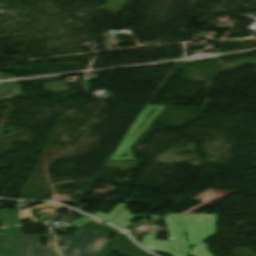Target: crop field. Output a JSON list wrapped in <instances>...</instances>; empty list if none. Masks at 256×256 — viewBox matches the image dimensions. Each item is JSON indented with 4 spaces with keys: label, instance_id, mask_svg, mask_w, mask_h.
I'll return each mask as SVG.
<instances>
[{
    "label": "crop field",
    "instance_id": "1",
    "mask_svg": "<svg viewBox=\"0 0 256 256\" xmlns=\"http://www.w3.org/2000/svg\"><path fill=\"white\" fill-rule=\"evenodd\" d=\"M218 216L168 215L165 218L170 241L155 240L157 233L145 234L140 243L150 251L173 256H212L201 243L214 235L215 221ZM180 223V225H178ZM184 233H187V243ZM189 251V245H195Z\"/></svg>",
    "mask_w": 256,
    "mask_h": 256
},
{
    "label": "crop field",
    "instance_id": "2",
    "mask_svg": "<svg viewBox=\"0 0 256 256\" xmlns=\"http://www.w3.org/2000/svg\"><path fill=\"white\" fill-rule=\"evenodd\" d=\"M51 206L58 209L63 206L54 205L50 203L25 208L23 210H13L14 234L16 236L17 256H58L55 246V239L52 233L46 234L47 243L44 248L40 247L39 235L25 236L22 232L20 220L30 218L33 223L38 222L32 215L31 210Z\"/></svg>",
    "mask_w": 256,
    "mask_h": 256
},
{
    "label": "crop field",
    "instance_id": "3",
    "mask_svg": "<svg viewBox=\"0 0 256 256\" xmlns=\"http://www.w3.org/2000/svg\"><path fill=\"white\" fill-rule=\"evenodd\" d=\"M109 234L80 228L74 236L57 237L62 256H98Z\"/></svg>",
    "mask_w": 256,
    "mask_h": 256
},
{
    "label": "crop field",
    "instance_id": "4",
    "mask_svg": "<svg viewBox=\"0 0 256 256\" xmlns=\"http://www.w3.org/2000/svg\"><path fill=\"white\" fill-rule=\"evenodd\" d=\"M166 105H146L138 117L135 119L134 124L123 137L115 154L108 158L112 161L133 160L135 159L131 147L147 130L152 122L164 110Z\"/></svg>",
    "mask_w": 256,
    "mask_h": 256
},
{
    "label": "crop field",
    "instance_id": "5",
    "mask_svg": "<svg viewBox=\"0 0 256 256\" xmlns=\"http://www.w3.org/2000/svg\"><path fill=\"white\" fill-rule=\"evenodd\" d=\"M83 228L114 233V240H109L99 256H109L111 251H116L127 256H151L147 252L135 246L123 233L106 224H101L90 218ZM110 249L111 251H107Z\"/></svg>",
    "mask_w": 256,
    "mask_h": 256
},
{
    "label": "crop field",
    "instance_id": "6",
    "mask_svg": "<svg viewBox=\"0 0 256 256\" xmlns=\"http://www.w3.org/2000/svg\"><path fill=\"white\" fill-rule=\"evenodd\" d=\"M0 226V256H16L15 236L13 234L12 223V210H0Z\"/></svg>",
    "mask_w": 256,
    "mask_h": 256
},
{
    "label": "crop field",
    "instance_id": "7",
    "mask_svg": "<svg viewBox=\"0 0 256 256\" xmlns=\"http://www.w3.org/2000/svg\"><path fill=\"white\" fill-rule=\"evenodd\" d=\"M234 192H236V191H219V190L209 189V190L201 193L197 197L193 198L195 200H197L198 198H202L201 201H200V202H202L201 204H199V205H197V206H195V207H193V208H191V209H189V210H187L183 213H192V212H194V211H196L200 208H203L202 206H204V205L207 206V205H209V204H211V203H213L217 200H220V199L214 200V198H217L218 196H220L221 199H222V198H224V197H226V196H228V195H230ZM206 193H210V195H206ZM203 195L205 196L204 198L201 197Z\"/></svg>",
    "mask_w": 256,
    "mask_h": 256
},
{
    "label": "crop field",
    "instance_id": "8",
    "mask_svg": "<svg viewBox=\"0 0 256 256\" xmlns=\"http://www.w3.org/2000/svg\"><path fill=\"white\" fill-rule=\"evenodd\" d=\"M22 96L16 82L0 83V101Z\"/></svg>",
    "mask_w": 256,
    "mask_h": 256
},
{
    "label": "crop field",
    "instance_id": "9",
    "mask_svg": "<svg viewBox=\"0 0 256 256\" xmlns=\"http://www.w3.org/2000/svg\"><path fill=\"white\" fill-rule=\"evenodd\" d=\"M138 216H149V217H153L152 220L149 222L150 225H154V223L157 221V219H161L162 216H154V215H147V214H143V215H137V216H132L130 214V212L125 208L113 221L112 223L121 226L123 228H125L127 226V224L135 217Z\"/></svg>",
    "mask_w": 256,
    "mask_h": 256
},
{
    "label": "crop field",
    "instance_id": "10",
    "mask_svg": "<svg viewBox=\"0 0 256 256\" xmlns=\"http://www.w3.org/2000/svg\"><path fill=\"white\" fill-rule=\"evenodd\" d=\"M126 204L125 203H118L116 207L108 213V215L97 212L95 216H98L104 220L110 221Z\"/></svg>",
    "mask_w": 256,
    "mask_h": 256
},
{
    "label": "crop field",
    "instance_id": "11",
    "mask_svg": "<svg viewBox=\"0 0 256 256\" xmlns=\"http://www.w3.org/2000/svg\"><path fill=\"white\" fill-rule=\"evenodd\" d=\"M11 77H14V76L6 75V74H1L0 75V79H2V78H11Z\"/></svg>",
    "mask_w": 256,
    "mask_h": 256
}]
</instances>
